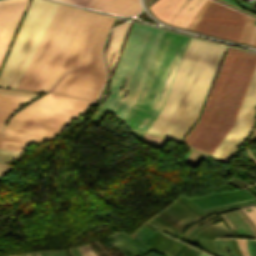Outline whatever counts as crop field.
Here are the masks:
<instances>
[{
	"label": "crop field",
	"mask_w": 256,
	"mask_h": 256,
	"mask_svg": "<svg viewBox=\"0 0 256 256\" xmlns=\"http://www.w3.org/2000/svg\"><path fill=\"white\" fill-rule=\"evenodd\" d=\"M113 21L59 4L17 88L96 99L105 81L101 44Z\"/></svg>",
	"instance_id": "1"
},
{
	"label": "crop field",
	"mask_w": 256,
	"mask_h": 256,
	"mask_svg": "<svg viewBox=\"0 0 256 256\" xmlns=\"http://www.w3.org/2000/svg\"><path fill=\"white\" fill-rule=\"evenodd\" d=\"M225 48L190 39L165 105L147 133L181 141L200 114Z\"/></svg>",
	"instance_id": "2"
},
{
	"label": "crop field",
	"mask_w": 256,
	"mask_h": 256,
	"mask_svg": "<svg viewBox=\"0 0 256 256\" xmlns=\"http://www.w3.org/2000/svg\"><path fill=\"white\" fill-rule=\"evenodd\" d=\"M255 67L256 55L228 49L203 115L184 143L211 155L233 125Z\"/></svg>",
	"instance_id": "3"
},
{
	"label": "crop field",
	"mask_w": 256,
	"mask_h": 256,
	"mask_svg": "<svg viewBox=\"0 0 256 256\" xmlns=\"http://www.w3.org/2000/svg\"><path fill=\"white\" fill-rule=\"evenodd\" d=\"M190 38L163 32L138 99L124 121L145 132L162 109Z\"/></svg>",
	"instance_id": "4"
},
{
	"label": "crop field",
	"mask_w": 256,
	"mask_h": 256,
	"mask_svg": "<svg viewBox=\"0 0 256 256\" xmlns=\"http://www.w3.org/2000/svg\"><path fill=\"white\" fill-rule=\"evenodd\" d=\"M163 31L134 24L121 54L113 79L111 93L101 105L122 120L135 103L147 69ZM124 88L118 92L124 78ZM129 88L127 95L121 100Z\"/></svg>",
	"instance_id": "5"
},
{
	"label": "crop field",
	"mask_w": 256,
	"mask_h": 256,
	"mask_svg": "<svg viewBox=\"0 0 256 256\" xmlns=\"http://www.w3.org/2000/svg\"><path fill=\"white\" fill-rule=\"evenodd\" d=\"M58 4L32 0L0 76V86L16 88Z\"/></svg>",
	"instance_id": "6"
},
{
	"label": "crop field",
	"mask_w": 256,
	"mask_h": 256,
	"mask_svg": "<svg viewBox=\"0 0 256 256\" xmlns=\"http://www.w3.org/2000/svg\"><path fill=\"white\" fill-rule=\"evenodd\" d=\"M91 102L48 93L11 118L62 129Z\"/></svg>",
	"instance_id": "7"
},
{
	"label": "crop field",
	"mask_w": 256,
	"mask_h": 256,
	"mask_svg": "<svg viewBox=\"0 0 256 256\" xmlns=\"http://www.w3.org/2000/svg\"><path fill=\"white\" fill-rule=\"evenodd\" d=\"M255 112L256 70L254 72L251 83L249 85L246 96L244 98V101L242 103V106L240 108L239 114L233 127L225 136V138L221 141V143L218 145L215 151L212 153V155L210 156L211 158L223 163H226L229 160V158L236 152V150L240 147L242 142L250 133L253 121L255 119ZM234 135L235 137L233 138ZM231 139L232 141L230 142ZM228 143L229 145L227 146ZM225 147L226 149L224 150ZM222 151L223 153L221 154ZM220 154L221 156L218 157Z\"/></svg>",
	"instance_id": "8"
},
{
	"label": "crop field",
	"mask_w": 256,
	"mask_h": 256,
	"mask_svg": "<svg viewBox=\"0 0 256 256\" xmlns=\"http://www.w3.org/2000/svg\"><path fill=\"white\" fill-rule=\"evenodd\" d=\"M246 17L212 1L194 30L239 42Z\"/></svg>",
	"instance_id": "9"
},
{
	"label": "crop field",
	"mask_w": 256,
	"mask_h": 256,
	"mask_svg": "<svg viewBox=\"0 0 256 256\" xmlns=\"http://www.w3.org/2000/svg\"><path fill=\"white\" fill-rule=\"evenodd\" d=\"M59 131L55 128L10 119L0 134V148L21 153L26 144L46 140Z\"/></svg>",
	"instance_id": "10"
},
{
	"label": "crop field",
	"mask_w": 256,
	"mask_h": 256,
	"mask_svg": "<svg viewBox=\"0 0 256 256\" xmlns=\"http://www.w3.org/2000/svg\"><path fill=\"white\" fill-rule=\"evenodd\" d=\"M204 0H158L149 9L159 19L185 28Z\"/></svg>",
	"instance_id": "11"
},
{
	"label": "crop field",
	"mask_w": 256,
	"mask_h": 256,
	"mask_svg": "<svg viewBox=\"0 0 256 256\" xmlns=\"http://www.w3.org/2000/svg\"><path fill=\"white\" fill-rule=\"evenodd\" d=\"M29 0L0 1V66Z\"/></svg>",
	"instance_id": "12"
},
{
	"label": "crop field",
	"mask_w": 256,
	"mask_h": 256,
	"mask_svg": "<svg viewBox=\"0 0 256 256\" xmlns=\"http://www.w3.org/2000/svg\"><path fill=\"white\" fill-rule=\"evenodd\" d=\"M252 197H253L252 195H250L245 189H243L240 191H231V192L203 195L199 197L190 198L189 200L193 202L195 205H197L200 209H202L210 206L226 204L234 201H240V200H244ZM253 199L255 198L248 199V200H253ZM244 201H247V200H244ZM210 208H213V207H210Z\"/></svg>",
	"instance_id": "13"
},
{
	"label": "crop field",
	"mask_w": 256,
	"mask_h": 256,
	"mask_svg": "<svg viewBox=\"0 0 256 256\" xmlns=\"http://www.w3.org/2000/svg\"><path fill=\"white\" fill-rule=\"evenodd\" d=\"M129 24L130 23H126L124 25L118 26V27L114 28L111 32L109 46L105 53L109 80H110V74L114 68L115 62L117 60L119 51L121 49L123 40L125 38L127 29L129 27ZM115 48H116V51H115V55H114V58H113V61L111 64V72L109 74V63H110V59L112 57V54H113Z\"/></svg>",
	"instance_id": "14"
},
{
	"label": "crop field",
	"mask_w": 256,
	"mask_h": 256,
	"mask_svg": "<svg viewBox=\"0 0 256 256\" xmlns=\"http://www.w3.org/2000/svg\"><path fill=\"white\" fill-rule=\"evenodd\" d=\"M99 10L122 16H134L140 11V7L138 0H110Z\"/></svg>",
	"instance_id": "15"
},
{
	"label": "crop field",
	"mask_w": 256,
	"mask_h": 256,
	"mask_svg": "<svg viewBox=\"0 0 256 256\" xmlns=\"http://www.w3.org/2000/svg\"><path fill=\"white\" fill-rule=\"evenodd\" d=\"M30 99L32 98L0 95V132L10 113L15 110L21 102L28 101Z\"/></svg>",
	"instance_id": "16"
},
{
	"label": "crop field",
	"mask_w": 256,
	"mask_h": 256,
	"mask_svg": "<svg viewBox=\"0 0 256 256\" xmlns=\"http://www.w3.org/2000/svg\"><path fill=\"white\" fill-rule=\"evenodd\" d=\"M164 210L171 213L175 217L181 219L182 221H184L187 224L199 219L195 215H193L191 212H189L187 209H185L183 206H181L179 203H177L176 201ZM166 211H162L160 213L168 216L169 218H171L172 220H174L175 222H177L178 224H180L183 227L185 225H187L184 222H182L181 220H179V219L175 218L174 216H172L171 214L167 213Z\"/></svg>",
	"instance_id": "17"
},
{
	"label": "crop field",
	"mask_w": 256,
	"mask_h": 256,
	"mask_svg": "<svg viewBox=\"0 0 256 256\" xmlns=\"http://www.w3.org/2000/svg\"><path fill=\"white\" fill-rule=\"evenodd\" d=\"M121 236H123L125 239H127L129 242H131V243H133L134 245H136L138 248H140L142 251H144L145 253L147 252V251H149L150 249H148V248H146V247H144V246H142L141 244H139L138 242H136L135 240H133L132 239V237H130V236H128V235H126V234H124L122 231H120V232H118ZM118 233H116V234H113L112 236L113 237H115L117 240H119L122 244H124V245H126L136 256H138V255H141L139 252H137L131 245H129L128 243V241L127 240H125L123 237H121ZM162 233H160V232H156L155 234H153L147 241H145L144 243H143V245H145V246H149L154 240H156L160 235H161ZM128 242V243H127ZM133 245V246H134ZM136 246H134L138 251H140V252H142L140 249H138ZM144 252H142V253H144ZM148 253V252H147Z\"/></svg>",
	"instance_id": "18"
},
{
	"label": "crop field",
	"mask_w": 256,
	"mask_h": 256,
	"mask_svg": "<svg viewBox=\"0 0 256 256\" xmlns=\"http://www.w3.org/2000/svg\"><path fill=\"white\" fill-rule=\"evenodd\" d=\"M170 238H166L157 248L156 250H160L168 241ZM183 243L178 242L176 240L171 239L159 252L167 255L172 256L181 246ZM155 250V251H156Z\"/></svg>",
	"instance_id": "19"
},
{
	"label": "crop field",
	"mask_w": 256,
	"mask_h": 256,
	"mask_svg": "<svg viewBox=\"0 0 256 256\" xmlns=\"http://www.w3.org/2000/svg\"><path fill=\"white\" fill-rule=\"evenodd\" d=\"M62 1H66V2H69L72 4H76V5H80V6L98 10L109 0H62Z\"/></svg>",
	"instance_id": "20"
},
{
	"label": "crop field",
	"mask_w": 256,
	"mask_h": 256,
	"mask_svg": "<svg viewBox=\"0 0 256 256\" xmlns=\"http://www.w3.org/2000/svg\"><path fill=\"white\" fill-rule=\"evenodd\" d=\"M222 215V214H221ZM224 215V214H223ZM222 215V216H223ZM224 217L226 218V216L224 215ZM223 217V218H224ZM224 218V219H225ZM227 219V218H226ZM225 219V220H226ZM228 220V219H227ZM228 222L231 224V222L228 220ZM228 223V224H229ZM229 224V225H230ZM232 225V224H231ZM230 225V226H231ZM232 227L235 229V227L232 225ZM231 227V228H232ZM211 228L219 235V236H223V235H233V233H234V235H236V233H237V231H236V229H235V231H236V233H235V231H234V229L232 228L231 230H232V232H231V230H227V228L221 223V222H219V223H216V224H213V225H211ZM237 235H238V233H237Z\"/></svg>",
	"instance_id": "21"
},
{
	"label": "crop field",
	"mask_w": 256,
	"mask_h": 256,
	"mask_svg": "<svg viewBox=\"0 0 256 256\" xmlns=\"http://www.w3.org/2000/svg\"><path fill=\"white\" fill-rule=\"evenodd\" d=\"M210 3H211V0H206L203 3V5L197 11L195 16L190 21V23L187 25V27H186L187 29L193 30V28L195 27V25L197 24V22L199 21V19L201 18V16L203 15V13L205 12V10L207 9V7L209 6Z\"/></svg>",
	"instance_id": "22"
},
{
	"label": "crop field",
	"mask_w": 256,
	"mask_h": 256,
	"mask_svg": "<svg viewBox=\"0 0 256 256\" xmlns=\"http://www.w3.org/2000/svg\"><path fill=\"white\" fill-rule=\"evenodd\" d=\"M153 233L154 232L142 226L137 231H135L131 236L142 243Z\"/></svg>",
	"instance_id": "23"
},
{
	"label": "crop field",
	"mask_w": 256,
	"mask_h": 256,
	"mask_svg": "<svg viewBox=\"0 0 256 256\" xmlns=\"http://www.w3.org/2000/svg\"><path fill=\"white\" fill-rule=\"evenodd\" d=\"M157 216L161 217V218L164 219L165 221H167V222H169V223H171V224L177 226L178 228H180V229L182 230L183 227H181L180 225H178L177 223H175L174 221H172V220L169 219L168 217H166V216H164V215H162V214H160V213H159ZM157 216L153 217L152 219L158 221L159 223H161V224H163V225L169 227L170 229H172V230H174V231H176V232H178V233L181 231V230H179L178 228L172 226L171 224L165 222L164 220L160 219V218L157 217Z\"/></svg>",
	"instance_id": "24"
},
{
	"label": "crop field",
	"mask_w": 256,
	"mask_h": 256,
	"mask_svg": "<svg viewBox=\"0 0 256 256\" xmlns=\"http://www.w3.org/2000/svg\"><path fill=\"white\" fill-rule=\"evenodd\" d=\"M253 21L254 19L251 17H247V21L245 24V28H244V32L242 35V39L240 42L242 43H249V39H250V35H251V31H252V26H253Z\"/></svg>",
	"instance_id": "25"
},
{
	"label": "crop field",
	"mask_w": 256,
	"mask_h": 256,
	"mask_svg": "<svg viewBox=\"0 0 256 256\" xmlns=\"http://www.w3.org/2000/svg\"><path fill=\"white\" fill-rule=\"evenodd\" d=\"M19 155V153L0 149V164H4Z\"/></svg>",
	"instance_id": "26"
},
{
	"label": "crop field",
	"mask_w": 256,
	"mask_h": 256,
	"mask_svg": "<svg viewBox=\"0 0 256 256\" xmlns=\"http://www.w3.org/2000/svg\"><path fill=\"white\" fill-rule=\"evenodd\" d=\"M206 234H208L212 239L218 237V235L209 227H205L202 229ZM202 230L196 233V236L202 237L204 239L212 240L208 235H206Z\"/></svg>",
	"instance_id": "27"
},
{
	"label": "crop field",
	"mask_w": 256,
	"mask_h": 256,
	"mask_svg": "<svg viewBox=\"0 0 256 256\" xmlns=\"http://www.w3.org/2000/svg\"><path fill=\"white\" fill-rule=\"evenodd\" d=\"M0 94L29 96V97H35V96L38 95V94H35V93L24 92V91H17V90H11V89H0Z\"/></svg>",
	"instance_id": "28"
},
{
	"label": "crop field",
	"mask_w": 256,
	"mask_h": 256,
	"mask_svg": "<svg viewBox=\"0 0 256 256\" xmlns=\"http://www.w3.org/2000/svg\"><path fill=\"white\" fill-rule=\"evenodd\" d=\"M109 240L112 244H114L117 248H119L126 256H134L130 250H128L126 247H124L122 244H120L116 239L109 236L106 238Z\"/></svg>",
	"instance_id": "29"
},
{
	"label": "crop field",
	"mask_w": 256,
	"mask_h": 256,
	"mask_svg": "<svg viewBox=\"0 0 256 256\" xmlns=\"http://www.w3.org/2000/svg\"><path fill=\"white\" fill-rule=\"evenodd\" d=\"M239 251L242 256H249L248 251H247V243L246 240L243 239H236Z\"/></svg>",
	"instance_id": "30"
},
{
	"label": "crop field",
	"mask_w": 256,
	"mask_h": 256,
	"mask_svg": "<svg viewBox=\"0 0 256 256\" xmlns=\"http://www.w3.org/2000/svg\"><path fill=\"white\" fill-rule=\"evenodd\" d=\"M198 246L208 250L209 252L215 254L212 241L200 240Z\"/></svg>",
	"instance_id": "31"
},
{
	"label": "crop field",
	"mask_w": 256,
	"mask_h": 256,
	"mask_svg": "<svg viewBox=\"0 0 256 256\" xmlns=\"http://www.w3.org/2000/svg\"><path fill=\"white\" fill-rule=\"evenodd\" d=\"M219 241H220V245H221V247H222L223 253H224L226 256H229V255H228L227 252L225 251V248H224L225 245H227V247H228V249H229L231 255H232V256H235V254H234V252H233V250H232V248H231V246H230V243H229L228 238H221V239H219Z\"/></svg>",
	"instance_id": "32"
},
{
	"label": "crop field",
	"mask_w": 256,
	"mask_h": 256,
	"mask_svg": "<svg viewBox=\"0 0 256 256\" xmlns=\"http://www.w3.org/2000/svg\"><path fill=\"white\" fill-rule=\"evenodd\" d=\"M147 222L152 224V225H154V226H156V227H158V228H160V229H162L163 231H165V232H167V233H169V234H171L173 236L177 235V233L167 229L166 227L162 226L161 224L157 223L156 221H154L152 219L148 220Z\"/></svg>",
	"instance_id": "33"
},
{
	"label": "crop field",
	"mask_w": 256,
	"mask_h": 256,
	"mask_svg": "<svg viewBox=\"0 0 256 256\" xmlns=\"http://www.w3.org/2000/svg\"><path fill=\"white\" fill-rule=\"evenodd\" d=\"M253 211L247 212L245 209L249 208H242L244 212L248 215V217L253 221V223L256 225V208L254 206H250Z\"/></svg>",
	"instance_id": "34"
},
{
	"label": "crop field",
	"mask_w": 256,
	"mask_h": 256,
	"mask_svg": "<svg viewBox=\"0 0 256 256\" xmlns=\"http://www.w3.org/2000/svg\"><path fill=\"white\" fill-rule=\"evenodd\" d=\"M177 202H179L181 205H183L185 208H187L189 211H191L193 214H195L197 217L201 218L202 216L199 215L195 210H193L190 206H188L186 203H184L182 200H180L179 198L176 200Z\"/></svg>",
	"instance_id": "35"
},
{
	"label": "crop field",
	"mask_w": 256,
	"mask_h": 256,
	"mask_svg": "<svg viewBox=\"0 0 256 256\" xmlns=\"http://www.w3.org/2000/svg\"><path fill=\"white\" fill-rule=\"evenodd\" d=\"M167 236L165 235H161L156 241H154L150 246L149 248H153L155 249Z\"/></svg>",
	"instance_id": "36"
},
{
	"label": "crop field",
	"mask_w": 256,
	"mask_h": 256,
	"mask_svg": "<svg viewBox=\"0 0 256 256\" xmlns=\"http://www.w3.org/2000/svg\"><path fill=\"white\" fill-rule=\"evenodd\" d=\"M186 247H187V245L184 244V245L180 248V250L176 253L175 256H179V255L182 253V251H183ZM190 249H191V247L188 246V247L184 250V252L182 253L181 256H186L187 253L190 251Z\"/></svg>",
	"instance_id": "37"
},
{
	"label": "crop field",
	"mask_w": 256,
	"mask_h": 256,
	"mask_svg": "<svg viewBox=\"0 0 256 256\" xmlns=\"http://www.w3.org/2000/svg\"><path fill=\"white\" fill-rule=\"evenodd\" d=\"M179 198L182 199L184 202H186L188 205H190L193 209H195L197 212H199L201 215L204 216V213L201 210H199L193 203H191L189 200H187L185 197L180 196Z\"/></svg>",
	"instance_id": "38"
},
{
	"label": "crop field",
	"mask_w": 256,
	"mask_h": 256,
	"mask_svg": "<svg viewBox=\"0 0 256 256\" xmlns=\"http://www.w3.org/2000/svg\"><path fill=\"white\" fill-rule=\"evenodd\" d=\"M83 248H84V250L88 253L89 256H96V255L92 252V250L89 248L88 245L84 246ZM79 250H80V252H81V254H82L83 256H86V255H87V254L85 255L86 252L84 253V251L81 249V247H79Z\"/></svg>",
	"instance_id": "39"
},
{
	"label": "crop field",
	"mask_w": 256,
	"mask_h": 256,
	"mask_svg": "<svg viewBox=\"0 0 256 256\" xmlns=\"http://www.w3.org/2000/svg\"><path fill=\"white\" fill-rule=\"evenodd\" d=\"M214 216H216V215L213 214L212 216L206 218L205 220H207V219H209V218H211V217H214ZM205 220H203V221H201V222H199V223L193 225L192 227H190V228L181 236V238L184 239V238L187 236V234H188L193 228H195L197 225H199L200 223L204 222Z\"/></svg>",
	"instance_id": "40"
},
{
	"label": "crop field",
	"mask_w": 256,
	"mask_h": 256,
	"mask_svg": "<svg viewBox=\"0 0 256 256\" xmlns=\"http://www.w3.org/2000/svg\"><path fill=\"white\" fill-rule=\"evenodd\" d=\"M237 211H238V210H237ZM239 211H240V212L243 214V216L253 225V227H254L255 230H256L255 225H254V224L251 222V220L244 214V212H243L241 209H239ZM239 211H238V213L241 215V213H240ZM241 216H242V215H241ZM243 216H242V217H243ZM244 217H243V218H244ZM245 218H244V219H245ZM246 219H245V220H246ZM247 220H246V221H247ZM248 221H247V223L252 227V225H251ZM253 227H252V229H253ZM253 231H254V229H253ZM254 233H255V235H256V232H255V231H254Z\"/></svg>",
	"instance_id": "41"
},
{
	"label": "crop field",
	"mask_w": 256,
	"mask_h": 256,
	"mask_svg": "<svg viewBox=\"0 0 256 256\" xmlns=\"http://www.w3.org/2000/svg\"><path fill=\"white\" fill-rule=\"evenodd\" d=\"M230 242H231V244H232V246H233V248H234V250H235L237 256H241L240 253H239V251H238V248H237L235 239H230Z\"/></svg>",
	"instance_id": "42"
},
{
	"label": "crop field",
	"mask_w": 256,
	"mask_h": 256,
	"mask_svg": "<svg viewBox=\"0 0 256 256\" xmlns=\"http://www.w3.org/2000/svg\"><path fill=\"white\" fill-rule=\"evenodd\" d=\"M10 167L8 166H5V165H0V176H3L7 170L9 169Z\"/></svg>",
	"instance_id": "43"
},
{
	"label": "crop field",
	"mask_w": 256,
	"mask_h": 256,
	"mask_svg": "<svg viewBox=\"0 0 256 256\" xmlns=\"http://www.w3.org/2000/svg\"><path fill=\"white\" fill-rule=\"evenodd\" d=\"M216 241H217V246H218L219 255H220V256H224L223 253H222L221 250H220V246H219L218 240H216ZM216 241L214 240L213 242H214V246H215L216 255L219 256V255H218V251H217Z\"/></svg>",
	"instance_id": "44"
},
{
	"label": "crop field",
	"mask_w": 256,
	"mask_h": 256,
	"mask_svg": "<svg viewBox=\"0 0 256 256\" xmlns=\"http://www.w3.org/2000/svg\"><path fill=\"white\" fill-rule=\"evenodd\" d=\"M255 33H256V26L254 25L250 45H253L254 43Z\"/></svg>",
	"instance_id": "45"
},
{
	"label": "crop field",
	"mask_w": 256,
	"mask_h": 256,
	"mask_svg": "<svg viewBox=\"0 0 256 256\" xmlns=\"http://www.w3.org/2000/svg\"><path fill=\"white\" fill-rule=\"evenodd\" d=\"M199 240H200V238L193 236V237L189 240V242L194 243V244L197 245L198 242H199Z\"/></svg>",
	"instance_id": "46"
},
{
	"label": "crop field",
	"mask_w": 256,
	"mask_h": 256,
	"mask_svg": "<svg viewBox=\"0 0 256 256\" xmlns=\"http://www.w3.org/2000/svg\"><path fill=\"white\" fill-rule=\"evenodd\" d=\"M255 140H256V127H255V131H254L253 135L251 136V138L249 139V141L246 144L251 143Z\"/></svg>",
	"instance_id": "47"
},
{
	"label": "crop field",
	"mask_w": 256,
	"mask_h": 256,
	"mask_svg": "<svg viewBox=\"0 0 256 256\" xmlns=\"http://www.w3.org/2000/svg\"><path fill=\"white\" fill-rule=\"evenodd\" d=\"M70 250L72 251V253L74 254V256H82V255L80 254V252L78 251L77 248H75V249H70Z\"/></svg>",
	"instance_id": "48"
},
{
	"label": "crop field",
	"mask_w": 256,
	"mask_h": 256,
	"mask_svg": "<svg viewBox=\"0 0 256 256\" xmlns=\"http://www.w3.org/2000/svg\"><path fill=\"white\" fill-rule=\"evenodd\" d=\"M192 250H193V248L191 249V251H192ZM191 251L188 253V255H187V256H189V255H190ZM198 253H199V251H197V250H195V249H194L190 256H197V255H198Z\"/></svg>",
	"instance_id": "49"
},
{
	"label": "crop field",
	"mask_w": 256,
	"mask_h": 256,
	"mask_svg": "<svg viewBox=\"0 0 256 256\" xmlns=\"http://www.w3.org/2000/svg\"><path fill=\"white\" fill-rule=\"evenodd\" d=\"M220 218H218V219H215V220H219ZM215 220H213V221H215ZM212 222V221H211ZM210 223V222H209ZM208 224V223H207ZM207 224H205V225H207ZM205 225H203V226H205ZM203 226H201V227H203ZM201 227H199V228H201ZM199 228H197L187 239H186V241L199 229Z\"/></svg>",
	"instance_id": "50"
},
{
	"label": "crop field",
	"mask_w": 256,
	"mask_h": 256,
	"mask_svg": "<svg viewBox=\"0 0 256 256\" xmlns=\"http://www.w3.org/2000/svg\"><path fill=\"white\" fill-rule=\"evenodd\" d=\"M144 226H146L147 228H149V229H151V230H153V231H155V232L157 231V229L151 227L150 225H148V224H146V223L144 224Z\"/></svg>",
	"instance_id": "51"
},
{
	"label": "crop field",
	"mask_w": 256,
	"mask_h": 256,
	"mask_svg": "<svg viewBox=\"0 0 256 256\" xmlns=\"http://www.w3.org/2000/svg\"><path fill=\"white\" fill-rule=\"evenodd\" d=\"M46 256H52L50 251L45 252ZM45 254L43 252H41V256H45Z\"/></svg>",
	"instance_id": "52"
},
{
	"label": "crop field",
	"mask_w": 256,
	"mask_h": 256,
	"mask_svg": "<svg viewBox=\"0 0 256 256\" xmlns=\"http://www.w3.org/2000/svg\"><path fill=\"white\" fill-rule=\"evenodd\" d=\"M248 189L251 190L253 194L256 196V190L252 186L248 187Z\"/></svg>",
	"instance_id": "53"
},
{
	"label": "crop field",
	"mask_w": 256,
	"mask_h": 256,
	"mask_svg": "<svg viewBox=\"0 0 256 256\" xmlns=\"http://www.w3.org/2000/svg\"><path fill=\"white\" fill-rule=\"evenodd\" d=\"M256 202V201H255ZM249 203H252V202H249ZM243 204H247V203H243ZM239 205H242V204H239ZM236 206H238V205H236ZM233 207V206H232ZM226 208H228V207H226ZM220 209H223V208H220ZM215 210H219V209H215ZM215 210H211V211H215ZM211 211H206L205 213H207V212H211Z\"/></svg>",
	"instance_id": "54"
},
{
	"label": "crop field",
	"mask_w": 256,
	"mask_h": 256,
	"mask_svg": "<svg viewBox=\"0 0 256 256\" xmlns=\"http://www.w3.org/2000/svg\"><path fill=\"white\" fill-rule=\"evenodd\" d=\"M61 251H62V250H61ZM58 253H59V251H58ZM60 253H61V252H60ZM60 253H59V255H60ZM62 253H63V251H62ZM55 254H56V256H58V254H57L56 251H55ZM52 255L55 256L53 251H52ZM63 255H64V253H63ZM61 256H62V254H61ZM64 256H65V255H64Z\"/></svg>",
	"instance_id": "55"
},
{
	"label": "crop field",
	"mask_w": 256,
	"mask_h": 256,
	"mask_svg": "<svg viewBox=\"0 0 256 256\" xmlns=\"http://www.w3.org/2000/svg\"><path fill=\"white\" fill-rule=\"evenodd\" d=\"M255 201V200H254ZM236 204H239V203H236ZM236 204H232V205H236ZM232 205H227V206H232ZM223 207H226V206H223ZM220 208V207H219ZM215 209V208H214ZM210 210V209H209ZM206 211V210H204Z\"/></svg>",
	"instance_id": "56"
},
{
	"label": "crop field",
	"mask_w": 256,
	"mask_h": 256,
	"mask_svg": "<svg viewBox=\"0 0 256 256\" xmlns=\"http://www.w3.org/2000/svg\"><path fill=\"white\" fill-rule=\"evenodd\" d=\"M35 255H36V256H38V255L40 256V254H39V253H38V255H37V253H35Z\"/></svg>",
	"instance_id": "57"
},
{
	"label": "crop field",
	"mask_w": 256,
	"mask_h": 256,
	"mask_svg": "<svg viewBox=\"0 0 256 256\" xmlns=\"http://www.w3.org/2000/svg\"><path fill=\"white\" fill-rule=\"evenodd\" d=\"M254 46H256V39H255V44H254Z\"/></svg>",
	"instance_id": "58"
},
{
	"label": "crop field",
	"mask_w": 256,
	"mask_h": 256,
	"mask_svg": "<svg viewBox=\"0 0 256 256\" xmlns=\"http://www.w3.org/2000/svg\"><path fill=\"white\" fill-rule=\"evenodd\" d=\"M70 254L73 256V254L71 253V251L69 250Z\"/></svg>",
	"instance_id": "59"
},
{
	"label": "crop field",
	"mask_w": 256,
	"mask_h": 256,
	"mask_svg": "<svg viewBox=\"0 0 256 256\" xmlns=\"http://www.w3.org/2000/svg\"><path fill=\"white\" fill-rule=\"evenodd\" d=\"M256 188V184L253 185Z\"/></svg>",
	"instance_id": "60"
},
{
	"label": "crop field",
	"mask_w": 256,
	"mask_h": 256,
	"mask_svg": "<svg viewBox=\"0 0 256 256\" xmlns=\"http://www.w3.org/2000/svg\"><path fill=\"white\" fill-rule=\"evenodd\" d=\"M18 256H25V255H18Z\"/></svg>",
	"instance_id": "61"
},
{
	"label": "crop field",
	"mask_w": 256,
	"mask_h": 256,
	"mask_svg": "<svg viewBox=\"0 0 256 256\" xmlns=\"http://www.w3.org/2000/svg\"><path fill=\"white\" fill-rule=\"evenodd\" d=\"M253 256H256V254H252Z\"/></svg>",
	"instance_id": "62"
},
{
	"label": "crop field",
	"mask_w": 256,
	"mask_h": 256,
	"mask_svg": "<svg viewBox=\"0 0 256 256\" xmlns=\"http://www.w3.org/2000/svg\"><path fill=\"white\" fill-rule=\"evenodd\" d=\"M11 256H16V255H11Z\"/></svg>",
	"instance_id": "63"
},
{
	"label": "crop field",
	"mask_w": 256,
	"mask_h": 256,
	"mask_svg": "<svg viewBox=\"0 0 256 256\" xmlns=\"http://www.w3.org/2000/svg\"><path fill=\"white\" fill-rule=\"evenodd\" d=\"M32 255L34 256V254L32 253Z\"/></svg>",
	"instance_id": "64"
},
{
	"label": "crop field",
	"mask_w": 256,
	"mask_h": 256,
	"mask_svg": "<svg viewBox=\"0 0 256 256\" xmlns=\"http://www.w3.org/2000/svg\"><path fill=\"white\" fill-rule=\"evenodd\" d=\"M29 256H31V254H29Z\"/></svg>",
	"instance_id": "65"
},
{
	"label": "crop field",
	"mask_w": 256,
	"mask_h": 256,
	"mask_svg": "<svg viewBox=\"0 0 256 256\" xmlns=\"http://www.w3.org/2000/svg\"><path fill=\"white\" fill-rule=\"evenodd\" d=\"M28 256V254H26Z\"/></svg>",
	"instance_id": "66"
},
{
	"label": "crop field",
	"mask_w": 256,
	"mask_h": 256,
	"mask_svg": "<svg viewBox=\"0 0 256 256\" xmlns=\"http://www.w3.org/2000/svg\"><path fill=\"white\" fill-rule=\"evenodd\" d=\"M256 207V206H255Z\"/></svg>",
	"instance_id": "67"
}]
</instances>
